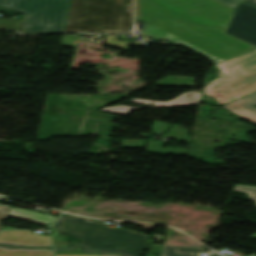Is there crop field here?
I'll return each mask as SVG.
<instances>
[{
  "label": "crop field",
  "mask_w": 256,
  "mask_h": 256,
  "mask_svg": "<svg viewBox=\"0 0 256 256\" xmlns=\"http://www.w3.org/2000/svg\"><path fill=\"white\" fill-rule=\"evenodd\" d=\"M233 12L214 0H135L144 34L184 44L214 65L255 47L224 34Z\"/></svg>",
  "instance_id": "obj_1"
},
{
  "label": "crop field",
  "mask_w": 256,
  "mask_h": 256,
  "mask_svg": "<svg viewBox=\"0 0 256 256\" xmlns=\"http://www.w3.org/2000/svg\"><path fill=\"white\" fill-rule=\"evenodd\" d=\"M103 223L99 220L88 222L77 216H61L55 226L58 233L83 240L84 247L96 248L103 253L117 252L125 256H140L148 240L147 235L125 229H109Z\"/></svg>",
  "instance_id": "obj_2"
},
{
  "label": "crop field",
  "mask_w": 256,
  "mask_h": 256,
  "mask_svg": "<svg viewBox=\"0 0 256 256\" xmlns=\"http://www.w3.org/2000/svg\"><path fill=\"white\" fill-rule=\"evenodd\" d=\"M132 0H72L65 32L118 34L131 29Z\"/></svg>",
  "instance_id": "obj_3"
},
{
  "label": "crop field",
  "mask_w": 256,
  "mask_h": 256,
  "mask_svg": "<svg viewBox=\"0 0 256 256\" xmlns=\"http://www.w3.org/2000/svg\"><path fill=\"white\" fill-rule=\"evenodd\" d=\"M216 66L220 75L203 94L219 98L220 106L256 91V47Z\"/></svg>",
  "instance_id": "obj_4"
},
{
  "label": "crop field",
  "mask_w": 256,
  "mask_h": 256,
  "mask_svg": "<svg viewBox=\"0 0 256 256\" xmlns=\"http://www.w3.org/2000/svg\"><path fill=\"white\" fill-rule=\"evenodd\" d=\"M71 0H0V10L28 15L19 20V32L40 34L63 32Z\"/></svg>",
  "instance_id": "obj_5"
},
{
  "label": "crop field",
  "mask_w": 256,
  "mask_h": 256,
  "mask_svg": "<svg viewBox=\"0 0 256 256\" xmlns=\"http://www.w3.org/2000/svg\"><path fill=\"white\" fill-rule=\"evenodd\" d=\"M226 32L256 45V8L239 4Z\"/></svg>",
  "instance_id": "obj_6"
},
{
  "label": "crop field",
  "mask_w": 256,
  "mask_h": 256,
  "mask_svg": "<svg viewBox=\"0 0 256 256\" xmlns=\"http://www.w3.org/2000/svg\"><path fill=\"white\" fill-rule=\"evenodd\" d=\"M31 231L0 232V245L49 247L52 249L50 236L30 235ZM50 239V240H47Z\"/></svg>",
  "instance_id": "obj_7"
},
{
  "label": "crop field",
  "mask_w": 256,
  "mask_h": 256,
  "mask_svg": "<svg viewBox=\"0 0 256 256\" xmlns=\"http://www.w3.org/2000/svg\"><path fill=\"white\" fill-rule=\"evenodd\" d=\"M201 96H202V93L188 92L168 102H152V103H155L152 106L171 107V106H177V105L199 104L201 100ZM131 102L148 104L151 101L133 99ZM142 107H149V106H142ZM138 108H141V107H138ZM134 109L136 108L118 106V107H106L100 110L127 115L130 111Z\"/></svg>",
  "instance_id": "obj_8"
},
{
  "label": "crop field",
  "mask_w": 256,
  "mask_h": 256,
  "mask_svg": "<svg viewBox=\"0 0 256 256\" xmlns=\"http://www.w3.org/2000/svg\"><path fill=\"white\" fill-rule=\"evenodd\" d=\"M226 109L256 124V107L244 100H238L225 105Z\"/></svg>",
  "instance_id": "obj_9"
},
{
  "label": "crop field",
  "mask_w": 256,
  "mask_h": 256,
  "mask_svg": "<svg viewBox=\"0 0 256 256\" xmlns=\"http://www.w3.org/2000/svg\"><path fill=\"white\" fill-rule=\"evenodd\" d=\"M0 256H53L47 249H24L0 247Z\"/></svg>",
  "instance_id": "obj_10"
},
{
  "label": "crop field",
  "mask_w": 256,
  "mask_h": 256,
  "mask_svg": "<svg viewBox=\"0 0 256 256\" xmlns=\"http://www.w3.org/2000/svg\"><path fill=\"white\" fill-rule=\"evenodd\" d=\"M203 248L164 246L161 256H201Z\"/></svg>",
  "instance_id": "obj_11"
},
{
  "label": "crop field",
  "mask_w": 256,
  "mask_h": 256,
  "mask_svg": "<svg viewBox=\"0 0 256 256\" xmlns=\"http://www.w3.org/2000/svg\"><path fill=\"white\" fill-rule=\"evenodd\" d=\"M163 143H155L148 141V152L151 153H158V154H167V155H183L186 153L187 150L185 149H168V148H161Z\"/></svg>",
  "instance_id": "obj_12"
},
{
  "label": "crop field",
  "mask_w": 256,
  "mask_h": 256,
  "mask_svg": "<svg viewBox=\"0 0 256 256\" xmlns=\"http://www.w3.org/2000/svg\"><path fill=\"white\" fill-rule=\"evenodd\" d=\"M168 77H175L177 79H162L156 82V85H173V86H191L194 77H181V76H168ZM187 82L191 84H187Z\"/></svg>",
  "instance_id": "obj_13"
},
{
  "label": "crop field",
  "mask_w": 256,
  "mask_h": 256,
  "mask_svg": "<svg viewBox=\"0 0 256 256\" xmlns=\"http://www.w3.org/2000/svg\"><path fill=\"white\" fill-rule=\"evenodd\" d=\"M189 131L181 128L177 125L172 126L166 133L165 135L170 136L172 138L178 139L180 141L184 140L186 142H190V137H189Z\"/></svg>",
  "instance_id": "obj_14"
},
{
  "label": "crop field",
  "mask_w": 256,
  "mask_h": 256,
  "mask_svg": "<svg viewBox=\"0 0 256 256\" xmlns=\"http://www.w3.org/2000/svg\"><path fill=\"white\" fill-rule=\"evenodd\" d=\"M170 126L172 125H169L167 123H164V122H159V121H154L153 124H152V129H153V132L151 134H149L148 136H151L155 133L161 135L163 134L164 131H166Z\"/></svg>",
  "instance_id": "obj_15"
},
{
  "label": "crop field",
  "mask_w": 256,
  "mask_h": 256,
  "mask_svg": "<svg viewBox=\"0 0 256 256\" xmlns=\"http://www.w3.org/2000/svg\"><path fill=\"white\" fill-rule=\"evenodd\" d=\"M234 191L246 192L250 199L256 201V187L235 185Z\"/></svg>",
  "instance_id": "obj_16"
},
{
  "label": "crop field",
  "mask_w": 256,
  "mask_h": 256,
  "mask_svg": "<svg viewBox=\"0 0 256 256\" xmlns=\"http://www.w3.org/2000/svg\"><path fill=\"white\" fill-rule=\"evenodd\" d=\"M106 43L111 44V45H115V46H119V47L124 48V49L127 50L126 42L118 41L117 37H115V36L107 35Z\"/></svg>",
  "instance_id": "obj_17"
},
{
  "label": "crop field",
  "mask_w": 256,
  "mask_h": 256,
  "mask_svg": "<svg viewBox=\"0 0 256 256\" xmlns=\"http://www.w3.org/2000/svg\"><path fill=\"white\" fill-rule=\"evenodd\" d=\"M15 24L16 21L13 19H0V28H9L14 30Z\"/></svg>",
  "instance_id": "obj_18"
},
{
  "label": "crop field",
  "mask_w": 256,
  "mask_h": 256,
  "mask_svg": "<svg viewBox=\"0 0 256 256\" xmlns=\"http://www.w3.org/2000/svg\"><path fill=\"white\" fill-rule=\"evenodd\" d=\"M10 206L0 204V220L7 219L9 215ZM1 228V224H0Z\"/></svg>",
  "instance_id": "obj_19"
},
{
  "label": "crop field",
  "mask_w": 256,
  "mask_h": 256,
  "mask_svg": "<svg viewBox=\"0 0 256 256\" xmlns=\"http://www.w3.org/2000/svg\"><path fill=\"white\" fill-rule=\"evenodd\" d=\"M144 143L142 140L124 141L123 147H143Z\"/></svg>",
  "instance_id": "obj_20"
},
{
  "label": "crop field",
  "mask_w": 256,
  "mask_h": 256,
  "mask_svg": "<svg viewBox=\"0 0 256 256\" xmlns=\"http://www.w3.org/2000/svg\"><path fill=\"white\" fill-rule=\"evenodd\" d=\"M233 9H235L237 3L240 1V0H217Z\"/></svg>",
  "instance_id": "obj_21"
},
{
  "label": "crop field",
  "mask_w": 256,
  "mask_h": 256,
  "mask_svg": "<svg viewBox=\"0 0 256 256\" xmlns=\"http://www.w3.org/2000/svg\"><path fill=\"white\" fill-rule=\"evenodd\" d=\"M55 254H82L78 248H71L62 252H55Z\"/></svg>",
  "instance_id": "obj_22"
},
{
  "label": "crop field",
  "mask_w": 256,
  "mask_h": 256,
  "mask_svg": "<svg viewBox=\"0 0 256 256\" xmlns=\"http://www.w3.org/2000/svg\"><path fill=\"white\" fill-rule=\"evenodd\" d=\"M54 245L55 250H61L69 246L68 243H66L65 241H54Z\"/></svg>",
  "instance_id": "obj_23"
},
{
  "label": "crop field",
  "mask_w": 256,
  "mask_h": 256,
  "mask_svg": "<svg viewBox=\"0 0 256 256\" xmlns=\"http://www.w3.org/2000/svg\"><path fill=\"white\" fill-rule=\"evenodd\" d=\"M243 99L252 103V104H254V105H256V92L247 96V97H245V98H243Z\"/></svg>",
  "instance_id": "obj_24"
},
{
  "label": "crop field",
  "mask_w": 256,
  "mask_h": 256,
  "mask_svg": "<svg viewBox=\"0 0 256 256\" xmlns=\"http://www.w3.org/2000/svg\"><path fill=\"white\" fill-rule=\"evenodd\" d=\"M241 4L256 7V0H244L241 2Z\"/></svg>",
  "instance_id": "obj_25"
},
{
  "label": "crop field",
  "mask_w": 256,
  "mask_h": 256,
  "mask_svg": "<svg viewBox=\"0 0 256 256\" xmlns=\"http://www.w3.org/2000/svg\"><path fill=\"white\" fill-rule=\"evenodd\" d=\"M55 256H120V255L111 254V255H55Z\"/></svg>",
  "instance_id": "obj_26"
},
{
  "label": "crop field",
  "mask_w": 256,
  "mask_h": 256,
  "mask_svg": "<svg viewBox=\"0 0 256 256\" xmlns=\"http://www.w3.org/2000/svg\"><path fill=\"white\" fill-rule=\"evenodd\" d=\"M2 229H15V228H11V227H3Z\"/></svg>",
  "instance_id": "obj_27"
},
{
  "label": "crop field",
  "mask_w": 256,
  "mask_h": 256,
  "mask_svg": "<svg viewBox=\"0 0 256 256\" xmlns=\"http://www.w3.org/2000/svg\"><path fill=\"white\" fill-rule=\"evenodd\" d=\"M250 237L256 238V234H254V235H251Z\"/></svg>",
  "instance_id": "obj_28"
},
{
  "label": "crop field",
  "mask_w": 256,
  "mask_h": 256,
  "mask_svg": "<svg viewBox=\"0 0 256 256\" xmlns=\"http://www.w3.org/2000/svg\"><path fill=\"white\" fill-rule=\"evenodd\" d=\"M211 256H219V255H217V254L214 253V254H212Z\"/></svg>",
  "instance_id": "obj_29"
}]
</instances>
